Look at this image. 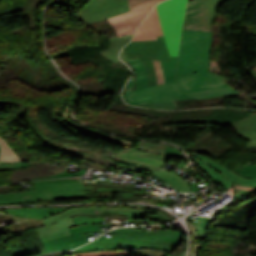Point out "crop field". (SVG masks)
<instances>
[{"mask_svg": "<svg viewBox=\"0 0 256 256\" xmlns=\"http://www.w3.org/2000/svg\"><path fill=\"white\" fill-rule=\"evenodd\" d=\"M213 32L183 30L177 66V80L186 91L228 86L209 71Z\"/></svg>", "mask_w": 256, "mask_h": 256, "instance_id": "crop-field-1", "label": "crop field"}, {"mask_svg": "<svg viewBox=\"0 0 256 256\" xmlns=\"http://www.w3.org/2000/svg\"><path fill=\"white\" fill-rule=\"evenodd\" d=\"M136 71V88L132 93L123 95L124 100L132 105L175 109L174 100H192L175 80L177 56H170V62L160 61L165 84L148 88L147 76L139 60L128 62Z\"/></svg>", "mask_w": 256, "mask_h": 256, "instance_id": "crop-field-2", "label": "crop field"}, {"mask_svg": "<svg viewBox=\"0 0 256 256\" xmlns=\"http://www.w3.org/2000/svg\"><path fill=\"white\" fill-rule=\"evenodd\" d=\"M35 191L0 194V204L37 202L38 200H60L101 196L102 191H117L127 189L117 188H89L83 185L79 178L50 179L33 182ZM130 193H122L121 197L127 199L138 195V192L129 190ZM109 198H113L108 196Z\"/></svg>", "mask_w": 256, "mask_h": 256, "instance_id": "crop-field-3", "label": "crop field"}, {"mask_svg": "<svg viewBox=\"0 0 256 256\" xmlns=\"http://www.w3.org/2000/svg\"><path fill=\"white\" fill-rule=\"evenodd\" d=\"M102 212H115L118 214H126L129 216L141 218L144 213V210L106 207L68 209L57 215L42 220L46 227L37 229L40 236V240L43 241L54 237L70 235L67 227L74 226L71 220V217L73 216H100Z\"/></svg>", "mask_w": 256, "mask_h": 256, "instance_id": "crop-field-4", "label": "crop field"}, {"mask_svg": "<svg viewBox=\"0 0 256 256\" xmlns=\"http://www.w3.org/2000/svg\"><path fill=\"white\" fill-rule=\"evenodd\" d=\"M180 239L159 235H120L115 238L100 237L99 239L84 245L76 250L123 247V248H149L172 252L179 243ZM74 250V251H76Z\"/></svg>", "mask_w": 256, "mask_h": 256, "instance_id": "crop-field-5", "label": "crop field"}, {"mask_svg": "<svg viewBox=\"0 0 256 256\" xmlns=\"http://www.w3.org/2000/svg\"><path fill=\"white\" fill-rule=\"evenodd\" d=\"M114 158L138 162V170L151 171L152 174L167 182L176 191L191 192L184 179L172 172L162 170L167 160L166 156L145 153L130 148L127 151L115 154Z\"/></svg>", "mask_w": 256, "mask_h": 256, "instance_id": "crop-field-6", "label": "crop field"}, {"mask_svg": "<svg viewBox=\"0 0 256 256\" xmlns=\"http://www.w3.org/2000/svg\"><path fill=\"white\" fill-rule=\"evenodd\" d=\"M185 3L186 0H165L156 6L170 55L178 52Z\"/></svg>", "mask_w": 256, "mask_h": 256, "instance_id": "crop-field-7", "label": "crop field"}, {"mask_svg": "<svg viewBox=\"0 0 256 256\" xmlns=\"http://www.w3.org/2000/svg\"><path fill=\"white\" fill-rule=\"evenodd\" d=\"M157 38L158 40L130 42L124 47L129 60L141 59L147 71L149 87L157 84L151 60L169 61V53L163 36Z\"/></svg>", "mask_w": 256, "mask_h": 256, "instance_id": "crop-field-8", "label": "crop field"}, {"mask_svg": "<svg viewBox=\"0 0 256 256\" xmlns=\"http://www.w3.org/2000/svg\"><path fill=\"white\" fill-rule=\"evenodd\" d=\"M226 0H193L187 3L183 29L213 31L216 9Z\"/></svg>", "mask_w": 256, "mask_h": 256, "instance_id": "crop-field-9", "label": "crop field"}, {"mask_svg": "<svg viewBox=\"0 0 256 256\" xmlns=\"http://www.w3.org/2000/svg\"><path fill=\"white\" fill-rule=\"evenodd\" d=\"M190 156L209 178H211L225 190L234 183L251 186L256 185V179L243 178L235 174L230 169L211 160L207 156H202L198 154H192Z\"/></svg>", "mask_w": 256, "mask_h": 256, "instance_id": "crop-field-10", "label": "crop field"}, {"mask_svg": "<svg viewBox=\"0 0 256 256\" xmlns=\"http://www.w3.org/2000/svg\"><path fill=\"white\" fill-rule=\"evenodd\" d=\"M128 11L127 0H91L78 16L88 24Z\"/></svg>", "mask_w": 256, "mask_h": 256, "instance_id": "crop-field-11", "label": "crop field"}, {"mask_svg": "<svg viewBox=\"0 0 256 256\" xmlns=\"http://www.w3.org/2000/svg\"><path fill=\"white\" fill-rule=\"evenodd\" d=\"M156 3H158L157 0L147 1L130 9L127 13L108 18V20L115 28L118 36L122 34H133L135 28L140 24Z\"/></svg>", "mask_w": 256, "mask_h": 256, "instance_id": "crop-field-12", "label": "crop field"}, {"mask_svg": "<svg viewBox=\"0 0 256 256\" xmlns=\"http://www.w3.org/2000/svg\"><path fill=\"white\" fill-rule=\"evenodd\" d=\"M160 35L163 34L158 19L157 11L156 8L154 7V9L145 19V21L136 30L135 37L132 41L157 39L156 36Z\"/></svg>", "mask_w": 256, "mask_h": 256, "instance_id": "crop-field-13", "label": "crop field"}, {"mask_svg": "<svg viewBox=\"0 0 256 256\" xmlns=\"http://www.w3.org/2000/svg\"><path fill=\"white\" fill-rule=\"evenodd\" d=\"M87 242H88L87 238L85 236H82L81 234L55 238V239L42 242L47 251L41 252L39 254H43V253L54 251V250L73 249Z\"/></svg>", "mask_w": 256, "mask_h": 256, "instance_id": "crop-field-14", "label": "crop field"}, {"mask_svg": "<svg viewBox=\"0 0 256 256\" xmlns=\"http://www.w3.org/2000/svg\"><path fill=\"white\" fill-rule=\"evenodd\" d=\"M71 105L72 103H68L67 107L65 108L64 112H63V118H64V121L71 127H73L74 129L84 133L85 135H89L90 133L94 134V135H97V136H100L106 140H109V141H113V142H117V143H121V144H124V145H127V146H130L132 147L134 145V143L136 141L134 140H128V139H123V138H119V137H115V136H112V135H109V134H106V133H103L101 131H98V130H95L93 128H90V127H87L85 125H82V124H74L72 123L68 118V113L70 111V108H71Z\"/></svg>", "mask_w": 256, "mask_h": 256, "instance_id": "crop-field-15", "label": "crop field"}, {"mask_svg": "<svg viewBox=\"0 0 256 256\" xmlns=\"http://www.w3.org/2000/svg\"><path fill=\"white\" fill-rule=\"evenodd\" d=\"M231 126L238 136L249 140L246 148L256 147V113L245 120L231 124Z\"/></svg>", "mask_w": 256, "mask_h": 256, "instance_id": "crop-field-16", "label": "crop field"}, {"mask_svg": "<svg viewBox=\"0 0 256 256\" xmlns=\"http://www.w3.org/2000/svg\"><path fill=\"white\" fill-rule=\"evenodd\" d=\"M46 145L53 148V149H57V150H59L63 153L70 154V155L75 156V157L83 158L84 159L83 164H85V165H87L91 168H94L96 170L106 172L107 166L116 167L115 162L112 159H108L107 161H103V160L96 159L93 156H89V155H85V154H81V153H77V152H73V151H69V150H65V149H61V148H57V147L51 146L47 143H46Z\"/></svg>", "mask_w": 256, "mask_h": 256, "instance_id": "crop-field-17", "label": "crop field"}, {"mask_svg": "<svg viewBox=\"0 0 256 256\" xmlns=\"http://www.w3.org/2000/svg\"><path fill=\"white\" fill-rule=\"evenodd\" d=\"M132 39V35H127L124 37H115V38H110V48L109 51H104L101 52L103 56L113 60L114 62L119 63L120 60L118 58L117 53L119 50L125 46L130 40Z\"/></svg>", "mask_w": 256, "mask_h": 256, "instance_id": "crop-field-18", "label": "crop field"}, {"mask_svg": "<svg viewBox=\"0 0 256 256\" xmlns=\"http://www.w3.org/2000/svg\"><path fill=\"white\" fill-rule=\"evenodd\" d=\"M236 93L238 92H236L233 88L224 87V88H218V89L207 90V91L192 92L188 94L196 99H205V98L223 96L228 94H236Z\"/></svg>", "mask_w": 256, "mask_h": 256, "instance_id": "crop-field-19", "label": "crop field"}, {"mask_svg": "<svg viewBox=\"0 0 256 256\" xmlns=\"http://www.w3.org/2000/svg\"><path fill=\"white\" fill-rule=\"evenodd\" d=\"M165 146L174 147L172 145L163 144V143H155V142H141L138 141L136 145L133 147L135 149L150 152V153H156V154H164ZM176 148V147H174Z\"/></svg>", "mask_w": 256, "mask_h": 256, "instance_id": "crop-field-20", "label": "crop field"}, {"mask_svg": "<svg viewBox=\"0 0 256 256\" xmlns=\"http://www.w3.org/2000/svg\"><path fill=\"white\" fill-rule=\"evenodd\" d=\"M25 158H19L13 149L6 143L4 139L0 137V161L2 162H12V161H22Z\"/></svg>", "mask_w": 256, "mask_h": 256, "instance_id": "crop-field-21", "label": "crop field"}, {"mask_svg": "<svg viewBox=\"0 0 256 256\" xmlns=\"http://www.w3.org/2000/svg\"><path fill=\"white\" fill-rule=\"evenodd\" d=\"M30 127L33 129V131L37 134V136H39L42 140L44 141H48L50 142V140L45 137L43 134L39 133L38 131L35 130V128L32 126V124L30 125ZM51 143V142H50ZM53 144V143H52ZM56 145V144H54ZM59 146V145H57ZM62 147H65V148H68V149H72V150H76V151H81V152H85V153H90V154H94L96 155L97 157L101 158V159H104V158H107L105 154H101V153H96L94 151H90V150H85V149H82L78 146H75V145H71V144H65V145H60Z\"/></svg>", "mask_w": 256, "mask_h": 256, "instance_id": "crop-field-22", "label": "crop field"}, {"mask_svg": "<svg viewBox=\"0 0 256 256\" xmlns=\"http://www.w3.org/2000/svg\"><path fill=\"white\" fill-rule=\"evenodd\" d=\"M153 232H115V231H110L108 233H120V234H159V235H167V236H173L181 239L182 232H177V231H171V230H166V231H159V230H152Z\"/></svg>", "mask_w": 256, "mask_h": 256, "instance_id": "crop-field-23", "label": "crop field"}, {"mask_svg": "<svg viewBox=\"0 0 256 256\" xmlns=\"http://www.w3.org/2000/svg\"><path fill=\"white\" fill-rule=\"evenodd\" d=\"M210 218L203 217L202 219L198 220L197 222L192 221L198 235L202 240L205 238L207 224L209 223Z\"/></svg>", "mask_w": 256, "mask_h": 256, "instance_id": "crop-field-24", "label": "crop field"}, {"mask_svg": "<svg viewBox=\"0 0 256 256\" xmlns=\"http://www.w3.org/2000/svg\"><path fill=\"white\" fill-rule=\"evenodd\" d=\"M241 168H235L233 171L243 177L256 178V164L250 166H241Z\"/></svg>", "mask_w": 256, "mask_h": 256, "instance_id": "crop-field-25", "label": "crop field"}, {"mask_svg": "<svg viewBox=\"0 0 256 256\" xmlns=\"http://www.w3.org/2000/svg\"><path fill=\"white\" fill-rule=\"evenodd\" d=\"M168 254L159 250L134 249L131 256H167Z\"/></svg>", "mask_w": 256, "mask_h": 256, "instance_id": "crop-field-26", "label": "crop field"}, {"mask_svg": "<svg viewBox=\"0 0 256 256\" xmlns=\"http://www.w3.org/2000/svg\"><path fill=\"white\" fill-rule=\"evenodd\" d=\"M54 173H56L55 175H51V176H45V177H39V178H52V177H65V176H79V175H83V173L86 170L80 169L79 173H71V174H67L68 168H62V169H56V170H50ZM39 178H32L30 180H34V179H39Z\"/></svg>", "mask_w": 256, "mask_h": 256, "instance_id": "crop-field-27", "label": "crop field"}, {"mask_svg": "<svg viewBox=\"0 0 256 256\" xmlns=\"http://www.w3.org/2000/svg\"><path fill=\"white\" fill-rule=\"evenodd\" d=\"M234 188H235V199L245 196L256 190V186L251 187V186L236 185V184H234Z\"/></svg>", "mask_w": 256, "mask_h": 256, "instance_id": "crop-field-28", "label": "crop field"}, {"mask_svg": "<svg viewBox=\"0 0 256 256\" xmlns=\"http://www.w3.org/2000/svg\"><path fill=\"white\" fill-rule=\"evenodd\" d=\"M106 225H84L79 227L68 228L70 234L87 232V231H99L98 227H104Z\"/></svg>", "mask_w": 256, "mask_h": 256, "instance_id": "crop-field-29", "label": "crop field"}, {"mask_svg": "<svg viewBox=\"0 0 256 256\" xmlns=\"http://www.w3.org/2000/svg\"><path fill=\"white\" fill-rule=\"evenodd\" d=\"M75 226L83 225V224H97L100 221V217H74L72 218Z\"/></svg>", "mask_w": 256, "mask_h": 256, "instance_id": "crop-field-30", "label": "crop field"}, {"mask_svg": "<svg viewBox=\"0 0 256 256\" xmlns=\"http://www.w3.org/2000/svg\"><path fill=\"white\" fill-rule=\"evenodd\" d=\"M33 164H22V163H6L0 165V170H5V169H17V168H23L27 166H31Z\"/></svg>", "mask_w": 256, "mask_h": 256, "instance_id": "crop-field-31", "label": "crop field"}, {"mask_svg": "<svg viewBox=\"0 0 256 256\" xmlns=\"http://www.w3.org/2000/svg\"><path fill=\"white\" fill-rule=\"evenodd\" d=\"M164 155L180 157V158H183V156H184L179 149H173V148H169V147H166V151H165Z\"/></svg>", "mask_w": 256, "mask_h": 256, "instance_id": "crop-field-32", "label": "crop field"}, {"mask_svg": "<svg viewBox=\"0 0 256 256\" xmlns=\"http://www.w3.org/2000/svg\"><path fill=\"white\" fill-rule=\"evenodd\" d=\"M153 63H154L155 71H156L158 84L164 83L161 68H160V65H159V61H153Z\"/></svg>", "mask_w": 256, "mask_h": 256, "instance_id": "crop-field-33", "label": "crop field"}, {"mask_svg": "<svg viewBox=\"0 0 256 256\" xmlns=\"http://www.w3.org/2000/svg\"><path fill=\"white\" fill-rule=\"evenodd\" d=\"M134 88H135V79L134 78H131L126 86V89H125V93H128V92H131V91H134Z\"/></svg>", "mask_w": 256, "mask_h": 256, "instance_id": "crop-field-34", "label": "crop field"}, {"mask_svg": "<svg viewBox=\"0 0 256 256\" xmlns=\"http://www.w3.org/2000/svg\"><path fill=\"white\" fill-rule=\"evenodd\" d=\"M116 249H117V248L85 250V251L71 252V253H69V254L87 253V252H93V251H116ZM69 254H68V255H69Z\"/></svg>", "mask_w": 256, "mask_h": 256, "instance_id": "crop-field-35", "label": "crop field"}, {"mask_svg": "<svg viewBox=\"0 0 256 256\" xmlns=\"http://www.w3.org/2000/svg\"><path fill=\"white\" fill-rule=\"evenodd\" d=\"M254 193H256V192H254ZM254 193L249 194V195H247V196H245V197H242V198H240V199L234 201L232 204H230L229 206H227V207H226L225 209H223L222 211H225V210L228 209L229 207L234 206V205L238 204L239 202H241V201H243V200L249 198V197L252 196ZM222 211H221V212H222ZM221 212H220V213H221ZM218 214H219V213H218Z\"/></svg>", "mask_w": 256, "mask_h": 256, "instance_id": "crop-field-36", "label": "crop field"}, {"mask_svg": "<svg viewBox=\"0 0 256 256\" xmlns=\"http://www.w3.org/2000/svg\"><path fill=\"white\" fill-rule=\"evenodd\" d=\"M147 0H128V4H129V9L135 5H138L142 2H145Z\"/></svg>", "mask_w": 256, "mask_h": 256, "instance_id": "crop-field-37", "label": "crop field"}, {"mask_svg": "<svg viewBox=\"0 0 256 256\" xmlns=\"http://www.w3.org/2000/svg\"><path fill=\"white\" fill-rule=\"evenodd\" d=\"M70 251H59V252H53V253H49L43 256H54V255H59V254H64V253H68Z\"/></svg>", "mask_w": 256, "mask_h": 256, "instance_id": "crop-field-38", "label": "crop field"}, {"mask_svg": "<svg viewBox=\"0 0 256 256\" xmlns=\"http://www.w3.org/2000/svg\"><path fill=\"white\" fill-rule=\"evenodd\" d=\"M120 58L123 60V61H128V59L126 58L125 54H124V50L121 51L120 53Z\"/></svg>", "mask_w": 256, "mask_h": 256, "instance_id": "crop-field-39", "label": "crop field"}, {"mask_svg": "<svg viewBox=\"0 0 256 256\" xmlns=\"http://www.w3.org/2000/svg\"><path fill=\"white\" fill-rule=\"evenodd\" d=\"M116 231H138L137 229H116Z\"/></svg>", "mask_w": 256, "mask_h": 256, "instance_id": "crop-field-40", "label": "crop field"}, {"mask_svg": "<svg viewBox=\"0 0 256 256\" xmlns=\"http://www.w3.org/2000/svg\"><path fill=\"white\" fill-rule=\"evenodd\" d=\"M162 0H159V2H161Z\"/></svg>", "mask_w": 256, "mask_h": 256, "instance_id": "crop-field-41", "label": "crop field"}, {"mask_svg": "<svg viewBox=\"0 0 256 256\" xmlns=\"http://www.w3.org/2000/svg\"><path fill=\"white\" fill-rule=\"evenodd\" d=\"M135 228H138V227H135Z\"/></svg>", "mask_w": 256, "mask_h": 256, "instance_id": "crop-field-42", "label": "crop field"}, {"mask_svg": "<svg viewBox=\"0 0 256 256\" xmlns=\"http://www.w3.org/2000/svg\"><path fill=\"white\" fill-rule=\"evenodd\" d=\"M0 164H2V163H0Z\"/></svg>", "mask_w": 256, "mask_h": 256, "instance_id": "crop-field-43", "label": "crop field"}]
</instances>
